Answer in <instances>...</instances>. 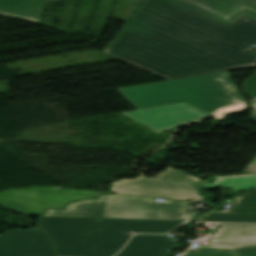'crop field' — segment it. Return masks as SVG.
<instances>
[{"mask_svg": "<svg viewBox=\"0 0 256 256\" xmlns=\"http://www.w3.org/2000/svg\"><path fill=\"white\" fill-rule=\"evenodd\" d=\"M251 43L256 21L247 17L226 26L166 0H141L104 53L171 79L255 66L244 48Z\"/></svg>", "mask_w": 256, "mask_h": 256, "instance_id": "8a807250", "label": "crop field"}, {"mask_svg": "<svg viewBox=\"0 0 256 256\" xmlns=\"http://www.w3.org/2000/svg\"><path fill=\"white\" fill-rule=\"evenodd\" d=\"M182 221L41 217L57 256H112L131 234L168 232Z\"/></svg>", "mask_w": 256, "mask_h": 256, "instance_id": "ac0d7876", "label": "crop field"}, {"mask_svg": "<svg viewBox=\"0 0 256 256\" xmlns=\"http://www.w3.org/2000/svg\"><path fill=\"white\" fill-rule=\"evenodd\" d=\"M228 76L224 72L118 90L137 109L184 101L210 115L219 107L245 101Z\"/></svg>", "mask_w": 256, "mask_h": 256, "instance_id": "34b2d1b8", "label": "crop field"}, {"mask_svg": "<svg viewBox=\"0 0 256 256\" xmlns=\"http://www.w3.org/2000/svg\"><path fill=\"white\" fill-rule=\"evenodd\" d=\"M199 179L201 178L168 168L157 174L154 179H124L112 183L111 192L202 201L203 197L192 184Z\"/></svg>", "mask_w": 256, "mask_h": 256, "instance_id": "412701ff", "label": "crop field"}, {"mask_svg": "<svg viewBox=\"0 0 256 256\" xmlns=\"http://www.w3.org/2000/svg\"><path fill=\"white\" fill-rule=\"evenodd\" d=\"M188 202L153 201V198L109 195L102 218L185 220Z\"/></svg>", "mask_w": 256, "mask_h": 256, "instance_id": "f4fd0767", "label": "crop field"}, {"mask_svg": "<svg viewBox=\"0 0 256 256\" xmlns=\"http://www.w3.org/2000/svg\"><path fill=\"white\" fill-rule=\"evenodd\" d=\"M98 192L56 190L53 187L7 189L0 192V205L34 216L43 207H59L74 198H88Z\"/></svg>", "mask_w": 256, "mask_h": 256, "instance_id": "dd49c442", "label": "crop field"}, {"mask_svg": "<svg viewBox=\"0 0 256 256\" xmlns=\"http://www.w3.org/2000/svg\"><path fill=\"white\" fill-rule=\"evenodd\" d=\"M184 256H256V225L220 224L209 246Z\"/></svg>", "mask_w": 256, "mask_h": 256, "instance_id": "e52e79f7", "label": "crop field"}, {"mask_svg": "<svg viewBox=\"0 0 256 256\" xmlns=\"http://www.w3.org/2000/svg\"><path fill=\"white\" fill-rule=\"evenodd\" d=\"M121 114L158 133L180 124L199 122L209 116L184 102Z\"/></svg>", "mask_w": 256, "mask_h": 256, "instance_id": "d8731c3e", "label": "crop field"}, {"mask_svg": "<svg viewBox=\"0 0 256 256\" xmlns=\"http://www.w3.org/2000/svg\"><path fill=\"white\" fill-rule=\"evenodd\" d=\"M226 25L247 16L256 20V0H169Z\"/></svg>", "mask_w": 256, "mask_h": 256, "instance_id": "5a996713", "label": "crop field"}, {"mask_svg": "<svg viewBox=\"0 0 256 256\" xmlns=\"http://www.w3.org/2000/svg\"><path fill=\"white\" fill-rule=\"evenodd\" d=\"M0 256H56L51 240L40 229L0 235Z\"/></svg>", "mask_w": 256, "mask_h": 256, "instance_id": "3316defc", "label": "crop field"}, {"mask_svg": "<svg viewBox=\"0 0 256 256\" xmlns=\"http://www.w3.org/2000/svg\"><path fill=\"white\" fill-rule=\"evenodd\" d=\"M237 204L230 213L208 212L192 221L256 222V189L234 197Z\"/></svg>", "mask_w": 256, "mask_h": 256, "instance_id": "28ad6ade", "label": "crop field"}, {"mask_svg": "<svg viewBox=\"0 0 256 256\" xmlns=\"http://www.w3.org/2000/svg\"><path fill=\"white\" fill-rule=\"evenodd\" d=\"M174 244L164 236L137 235L118 256H165L168 247Z\"/></svg>", "mask_w": 256, "mask_h": 256, "instance_id": "d1516ede", "label": "crop field"}, {"mask_svg": "<svg viewBox=\"0 0 256 256\" xmlns=\"http://www.w3.org/2000/svg\"><path fill=\"white\" fill-rule=\"evenodd\" d=\"M61 0H0V15L39 23L45 2Z\"/></svg>", "mask_w": 256, "mask_h": 256, "instance_id": "22f410ed", "label": "crop field"}, {"mask_svg": "<svg viewBox=\"0 0 256 256\" xmlns=\"http://www.w3.org/2000/svg\"><path fill=\"white\" fill-rule=\"evenodd\" d=\"M108 195L96 199L69 204L62 210H47L43 216L95 217L101 218Z\"/></svg>", "mask_w": 256, "mask_h": 256, "instance_id": "cbeb9de0", "label": "crop field"}, {"mask_svg": "<svg viewBox=\"0 0 256 256\" xmlns=\"http://www.w3.org/2000/svg\"><path fill=\"white\" fill-rule=\"evenodd\" d=\"M246 169L254 172L255 174L215 177V181L213 183L201 185V186H207V187L225 186L227 188H232L234 191L249 189V188H256V158L246 167Z\"/></svg>", "mask_w": 256, "mask_h": 256, "instance_id": "5142ce71", "label": "crop field"}, {"mask_svg": "<svg viewBox=\"0 0 256 256\" xmlns=\"http://www.w3.org/2000/svg\"><path fill=\"white\" fill-rule=\"evenodd\" d=\"M242 91L250 95L253 99L256 97V71L242 84Z\"/></svg>", "mask_w": 256, "mask_h": 256, "instance_id": "d9b57169", "label": "crop field"}, {"mask_svg": "<svg viewBox=\"0 0 256 256\" xmlns=\"http://www.w3.org/2000/svg\"><path fill=\"white\" fill-rule=\"evenodd\" d=\"M245 108V103L243 104H238V105H233V106H229V107H225L223 109H220L218 111H216L212 117L220 119L222 117H224V115L228 112H232V111H237V110H241Z\"/></svg>", "mask_w": 256, "mask_h": 256, "instance_id": "733c2abd", "label": "crop field"}, {"mask_svg": "<svg viewBox=\"0 0 256 256\" xmlns=\"http://www.w3.org/2000/svg\"><path fill=\"white\" fill-rule=\"evenodd\" d=\"M252 105L254 107L252 115L248 118L254 122H256V100L252 102Z\"/></svg>", "mask_w": 256, "mask_h": 256, "instance_id": "4a817a6b", "label": "crop field"}]
</instances>
